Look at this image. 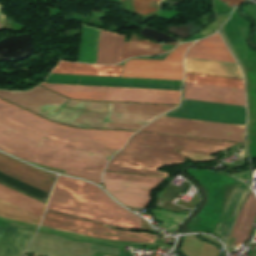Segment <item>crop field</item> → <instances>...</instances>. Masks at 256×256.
<instances>
[{"mask_svg": "<svg viewBox=\"0 0 256 256\" xmlns=\"http://www.w3.org/2000/svg\"><path fill=\"white\" fill-rule=\"evenodd\" d=\"M10 101L50 120L83 128L139 130L170 106L70 101L40 86L28 91H0Z\"/></svg>", "mask_w": 256, "mask_h": 256, "instance_id": "obj_1", "label": "crop field"}, {"mask_svg": "<svg viewBox=\"0 0 256 256\" xmlns=\"http://www.w3.org/2000/svg\"><path fill=\"white\" fill-rule=\"evenodd\" d=\"M119 149L71 146L41 138L0 120V150L95 183H101L105 164Z\"/></svg>", "mask_w": 256, "mask_h": 256, "instance_id": "obj_2", "label": "crop field"}, {"mask_svg": "<svg viewBox=\"0 0 256 256\" xmlns=\"http://www.w3.org/2000/svg\"><path fill=\"white\" fill-rule=\"evenodd\" d=\"M233 145L235 144L136 133L112 158L106 170L167 177L169 173L158 169L187 160L178 151L210 155Z\"/></svg>", "mask_w": 256, "mask_h": 256, "instance_id": "obj_3", "label": "crop field"}, {"mask_svg": "<svg viewBox=\"0 0 256 256\" xmlns=\"http://www.w3.org/2000/svg\"><path fill=\"white\" fill-rule=\"evenodd\" d=\"M165 117L245 126V107L187 101ZM161 117L141 129L144 132L241 142L245 127Z\"/></svg>", "mask_w": 256, "mask_h": 256, "instance_id": "obj_4", "label": "crop field"}, {"mask_svg": "<svg viewBox=\"0 0 256 256\" xmlns=\"http://www.w3.org/2000/svg\"><path fill=\"white\" fill-rule=\"evenodd\" d=\"M48 78L182 85V82L50 74ZM47 79L44 83L181 91L182 86ZM41 84L70 99L179 105L180 92Z\"/></svg>", "mask_w": 256, "mask_h": 256, "instance_id": "obj_5", "label": "crop field"}, {"mask_svg": "<svg viewBox=\"0 0 256 256\" xmlns=\"http://www.w3.org/2000/svg\"><path fill=\"white\" fill-rule=\"evenodd\" d=\"M47 210L127 229L141 219L113 202L93 184L59 176Z\"/></svg>", "mask_w": 256, "mask_h": 256, "instance_id": "obj_6", "label": "crop field"}, {"mask_svg": "<svg viewBox=\"0 0 256 256\" xmlns=\"http://www.w3.org/2000/svg\"><path fill=\"white\" fill-rule=\"evenodd\" d=\"M0 119L41 137L71 145L122 147L128 137L135 133L76 129L52 123L1 99Z\"/></svg>", "mask_w": 256, "mask_h": 256, "instance_id": "obj_7", "label": "crop field"}, {"mask_svg": "<svg viewBox=\"0 0 256 256\" xmlns=\"http://www.w3.org/2000/svg\"><path fill=\"white\" fill-rule=\"evenodd\" d=\"M186 57L236 63L219 34L198 41ZM185 58V72L243 78L237 64Z\"/></svg>", "mask_w": 256, "mask_h": 256, "instance_id": "obj_8", "label": "crop field"}, {"mask_svg": "<svg viewBox=\"0 0 256 256\" xmlns=\"http://www.w3.org/2000/svg\"><path fill=\"white\" fill-rule=\"evenodd\" d=\"M164 179L134 176L126 174H103L106 190L120 203L138 208H147L150 200L149 192L161 184Z\"/></svg>", "mask_w": 256, "mask_h": 256, "instance_id": "obj_9", "label": "crop field"}, {"mask_svg": "<svg viewBox=\"0 0 256 256\" xmlns=\"http://www.w3.org/2000/svg\"><path fill=\"white\" fill-rule=\"evenodd\" d=\"M193 43L178 46L164 61L131 60L125 63L121 77L182 80L183 54Z\"/></svg>", "mask_w": 256, "mask_h": 256, "instance_id": "obj_10", "label": "crop field"}, {"mask_svg": "<svg viewBox=\"0 0 256 256\" xmlns=\"http://www.w3.org/2000/svg\"><path fill=\"white\" fill-rule=\"evenodd\" d=\"M41 227L73 232L78 234H83L95 238L107 239V240H121V241H138V242H149L154 243L153 240H141V239H133V238H123L116 236H107L101 234H115V235H123V236H133V237H142V238H150L153 239V235L147 233L140 232H132V231H124V230H116L105 228L103 225L51 213L45 212ZM101 233V234H98Z\"/></svg>", "mask_w": 256, "mask_h": 256, "instance_id": "obj_11", "label": "crop field"}, {"mask_svg": "<svg viewBox=\"0 0 256 256\" xmlns=\"http://www.w3.org/2000/svg\"><path fill=\"white\" fill-rule=\"evenodd\" d=\"M97 251L118 254L119 249L105 246L72 242L57 235L37 231L25 252L41 256H93Z\"/></svg>", "mask_w": 256, "mask_h": 256, "instance_id": "obj_12", "label": "crop field"}, {"mask_svg": "<svg viewBox=\"0 0 256 256\" xmlns=\"http://www.w3.org/2000/svg\"><path fill=\"white\" fill-rule=\"evenodd\" d=\"M184 99L245 106L244 89L185 83Z\"/></svg>", "mask_w": 256, "mask_h": 256, "instance_id": "obj_13", "label": "crop field"}, {"mask_svg": "<svg viewBox=\"0 0 256 256\" xmlns=\"http://www.w3.org/2000/svg\"><path fill=\"white\" fill-rule=\"evenodd\" d=\"M0 171L48 193L55 180L54 175L46 174L44 171L32 168L2 154H0Z\"/></svg>", "mask_w": 256, "mask_h": 256, "instance_id": "obj_14", "label": "crop field"}, {"mask_svg": "<svg viewBox=\"0 0 256 256\" xmlns=\"http://www.w3.org/2000/svg\"><path fill=\"white\" fill-rule=\"evenodd\" d=\"M248 188L242 183L235 181L221 214L211 234L219 237L222 242L236 217L240 205L246 195Z\"/></svg>", "mask_w": 256, "mask_h": 256, "instance_id": "obj_15", "label": "crop field"}, {"mask_svg": "<svg viewBox=\"0 0 256 256\" xmlns=\"http://www.w3.org/2000/svg\"><path fill=\"white\" fill-rule=\"evenodd\" d=\"M34 230L10 223L0 239V256H19Z\"/></svg>", "mask_w": 256, "mask_h": 256, "instance_id": "obj_16", "label": "crop field"}, {"mask_svg": "<svg viewBox=\"0 0 256 256\" xmlns=\"http://www.w3.org/2000/svg\"><path fill=\"white\" fill-rule=\"evenodd\" d=\"M123 39L122 35L101 30L96 64L119 63Z\"/></svg>", "mask_w": 256, "mask_h": 256, "instance_id": "obj_17", "label": "crop field"}, {"mask_svg": "<svg viewBox=\"0 0 256 256\" xmlns=\"http://www.w3.org/2000/svg\"><path fill=\"white\" fill-rule=\"evenodd\" d=\"M122 66H93L59 62L52 73L119 77Z\"/></svg>", "mask_w": 256, "mask_h": 256, "instance_id": "obj_18", "label": "crop field"}, {"mask_svg": "<svg viewBox=\"0 0 256 256\" xmlns=\"http://www.w3.org/2000/svg\"><path fill=\"white\" fill-rule=\"evenodd\" d=\"M256 215V199L251 192L248 196L231 236L236 238L233 245L245 243Z\"/></svg>", "mask_w": 256, "mask_h": 256, "instance_id": "obj_19", "label": "crop field"}, {"mask_svg": "<svg viewBox=\"0 0 256 256\" xmlns=\"http://www.w3.org/2000/svg\"><path fill=\"white\" fill-rule=\"evenodd\" d=\"M177 45V43L168 45L154 44L148 40L125 42L121 61L130 57L161 54L172 50Z\"/></svg>", "mask_w": 256, "mask_h": 256, "instance_id": "obj_20", "label": "crop field"}, {"mask_svg": "<svg viewBox=\"0 0 256 256\" xmlns=\"http://www.w3.org/2000/svg\"><path fill=\"white\" fill-rule=\"evenodd\" d=\"M100 30L82 24V38L77 62L95 64Z\"/></svg>", "mask_w": 256, "mask_h": 256, "instance_id": "obj_21", "label": "crop field"}, {"mask_svg": "<svg viewBox=\"0 0 256 256\" xmlns=\"http://www.w3.org/2000/svg\"><path fill=\"white\" fill-rule=\"evenodd\" d=\"M0 199H3L40 217L42 216L45 206L36 200H33L2 185H0Z\"/></svg>", "mask_w": 256, "mask_h": 256, "instance_id": "obj_22", "label": "crop field"}, {"mask_svg": "<svg viewBox=\"0 0 256 256\" xmlns=\"http://www.w3.org/2000/svg\"><path fill=\"white\" fill-rule=\"evenodd\" d=\"M0 215L9 219L19 220L34 225H38L41 219L40 217L11 205L3 200H0Z\"/></svg>", "mask_w": 256, "mask_h": 256, "instance_id": "obj_23", "label": "crop field"}, {"mask_svg": "<svg viewBox=\"0 0 256 256\" xmlns=\"http://www.w3.org/2000/svg\"><path fill=\"white\" fill-rule=\"evenodd\" d=\"M185 81L244 88L243 80L239 79L185 74Z\"/></svg>", "mask_w": 256, "mask_h": 256, "instance_id": "obj_24", "label": "crop field"}, {"mask_svg": "<svg viewBox=\"0 0 256 256\" xmlns=\"http://www.w3.org/2000/svg\"><path fill=\"white\" fill-rule=\"evenodd\" d=\"M159 0H133L134 10L136 13L148 16L159 10Z\"/></svg>", "mask_w": 256, "mask_h": 256, "instance_id": "obj_25", "label": "crop field"}, {"mask_svg": "<svg viewBox=\"0 0 256 256\" xmlns=\"http://www.w3.org/2000/svg\"><path fill=\"white\" fill-rule=\"evenodd\" d=\"M221 1L231 7L234 4L238 6L246 0H221Z\"/></svg>", "mask_w": 256, "mask_h": 256, "instance_id": "obj_26", "label": "crop field"}, {"mask_svg": "<svg viewBox=\"0 0 256 256\" xmlns=\"http://www.w3.org/2000/svg\"><path fill=\"white\" fill-rule=\"evenodd\" d=\"M205 36H199V35H196L192 38H190L189 40L185 41V42H188V41H195V40H198V39H201V38H204Z\"/></svg>", "mask_w": 256, "mask_h": 256, "instance_id": "obj_27", "label": "crop field"}, {"mask_svg": "<svg viewBox=\"0 0 256 256\" xmlns=\"http://www.w3.org/2000/svg\"><path fill=\"white\" fill-rule=\"evenodd\" d=\"M2 23H1V19H0V27H1Z\"/></svg>", "mask_w": 256, "mask_h": 256, "instance_id": "obj_28", "label": "crop field"}]
</instances>
